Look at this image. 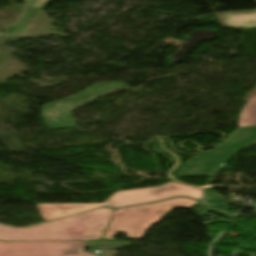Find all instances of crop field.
I'll return each mask as SVG.
<instances>
[{
    "instance_id": "1",
    "label": "crop field",
    "mask_w": 256,
    "mask_h": 256,
    "mask_svg": "<svg viewBox=\"0 0 256 256\" xmlns=\"http://www.w3.org/2000/svg\"><path fill=\"white\" fill-rule=\"evenodd\" d=\"M113 213L103 208L21 229L0 225V240H101Z\"/></svg>"
},
{
    "instance_id": "2",
    "label": "crop field",
    "mask_w": 256,
    "mask_h": 256,
    "mask_svg": "<svg viewBox=\"0 0 256 256\" xmlns=\"http://www.w3.org/2000/svg\"><path fill=\"white\" fill-rule=\"evenodd\" d=\"M176 195L191 196L202 199V190L173 181L156 187L134 189L114 192L103 203L80 204V203H55V204H36L43 220H51L58 217L102 207L105 205L119 207L136 203L154 201L173 197Z\"/></svg>"
},
{
    "instance_id": "3",
    "label": "crop field",
    "mask_w": 256,
    "mask_h": 256,
    "mask_svg": "<svg viewBox=\"0 0 256 256\" xmlns=\"http://www.w3.org/2000/svg\"><path fill=\"white\" fill-rule=\"evenodd\" d=\"M198 201L175 198L157 203L118 209L103 240L114 239L116 232H127V238H143L145 232L174 208H188Z\"/></svg>"
},
{
    "instance_id": "4",
    "label": "crop field",
    "mask_w": 256,
    "mask_h": 256,
    "mask_svg": "<svg viewBox=\"0 0 256 256\" xmlns=\"http://www.w3.org/2000/svg\"><path fill=\"white\" fill-rule=\"evenodd\" d=\"M256 146V126L235 129L213 151H205L187 160L177 175L218 173L239 151Z\"/></svg>"
},
{
    "instance_id": "5",
    "label": "crop field",
    "mask_w": 256,
    "mask_h": 256,
    "mask_svg": "<svg viewBox=\"0 0 256 256\" xmlns=\"http://www.w3.org/2000/svg\"><path fill=\"white\" fill-rule=\"evenodd\" d=\"M124 89L128 86L122 82L95 84L76 95L45 104L41 114L49 129L76 127L71 115L73 110Z\"/></svg>"
},
{
    "instance_id": "6",
    "label": "crop field",
    "mask_w": 256,
    "mask_h": 256,
    "mask_svg": "<svg viewBox=\"0 0 256 256\" xmlns=\"http://www.w3.org/2000/svg\"><path fill=\"white\" fill-rule=\"evenodd\" d=\"M86 241L0 242V256H96L83 252Z\"/></svg>"
},
{
    "instance_id": "7",
    "label": "crop field",
    "mask_w": 256,
    "mask_h": 256,
    "mask_svg": "<svg viewBox=\"0 0 256 256\" xmlns=\"http://www.w3.org/2000/svg\"><path fill=\"white\" fill-rule=\"evenodd\" d=\"M222 15L227 27H256V12Z\"/></svg>"
},
{
    "instance_id": "8",
    "label": "crop field",
    "mask_w": 256,
    "mask_h": 256,
    "mask_svg": "<svg viewBox=\"0 0 256 256\" xmlns=\"http://www.w3.org/2000/svg\"><path fill=\"white\" fill-rule=\"evenodd\" d=\"M253 125H256V94L246 103L238 120V127Z\"/></svg>"
},
{
    "instance_id": "9",
    "label": "crop field",
    "mask_w": 256,
    "mask_h": 256,
    "mask_svg": "<svg viewBox=\"0 0 256 256\" xmlns=\"http://www.w3.org/2000/svg\"><path fill=\"white\" fill-rule=\"evenodd\" d=\"M40 9L29 7L25 15L22 17L20 22L17 24L16 27L10 26L7 28V30L3 33L6 35H13V34H19L23 33L24 30L27 28V26L30 24V22L33 20L35 15L38 13Z\"/></svg>"
},
{
    "instance_id": "10",
    "label": "crop field",
    "mask_w": 256,
    "mask_h": 256,
    "mask_svg": "<svg viewBox=\"0 0 256 256\" xmlns=\"http://www.w3.org/2000/svg\"><path fill=\"white\" fill-rule=\"evenodd\" d=\"M47 1L48 0H24L26 5L37 8L44 6Z\"/></svg>"
},
{
    "instance_id": "11",
    "label": "crop field",
    "mask_w": 256,
    "mask_h": 256,
    "mask_svg": "<svg viewBox=\"0 0 256 256\" xmlns=\"http://www.w3.org/2000/svg\"><path fill=\"white\" fill-rule=\"evenodd\" d=\"M256 1V0H255Z\"/></svg>"
}]
</instances>
